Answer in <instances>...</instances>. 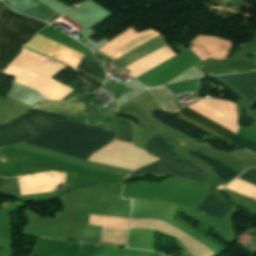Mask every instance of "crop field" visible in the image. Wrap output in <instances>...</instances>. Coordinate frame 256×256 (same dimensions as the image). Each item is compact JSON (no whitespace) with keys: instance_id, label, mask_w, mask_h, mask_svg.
<instances>
[{"instance_id":"obj_15","label":"crop field","mask_w":256,"mask_h":256,"mask_svg":"<svg viewBox=\"0 0 256 256\" xmlns=\"http://www.w3.org/2000/svg\"><path fill=\"white\" fill-rule=\"evenodd\" d=\"M60 15H58L57 13H53L49 18H47L45 20V22H48V23H51L53 22L54 20H56Z\"/></svg>"},{"instance_id":"obj_12","label":"crop field","mask_w":256,"mask_h":256,"mask_svg":"<svg viewBox=\"0 0 256 256\" xmlns=\"http://www.w3.org/2000/svg\"><path fill=\"white\" fill-rule=\"evenodd\" d=\"M114 121H115V123L117 125V129H118V135H117L115 141H120V142L131 144L130 138H131L132 130H131L130 123H128L126 121L116 120V119H114Z\"/></svg>"},{"instance_id":"obj_6","label":"crop field","mask_w":256,"mask_h":256,"mask_svg":"<svg viewBox=\"0 0 256 256\" xmlns=\"http://www.w3.org/2000/svg\"><path fill=\"white\" fill-rule=\"evenodd\" d=\"M63 118L65 117L29 109L20 117L0 124V146L25 140L34 135L37 129Z\"/></svg>"},{"instance_id":"obj_7","label":"crop field","mask_w":256,"mask_h":256,"mask_svg":"<svg viewBox=\"0 0 256 256\" xmlns=\"http://www.w3.org/2000/svg\"><path fill=\"white\" fill-rule=\"evenodd\" d=\"M218 77L232 85L249 100L256 95V91L253 90L254 84L256 83V72L222 75Z\"/></svg>"},{"instance_id":"obj_8","label":"crop field","mask_w":256,"mask_h":256,"mask_svg":"<svg viewBox=\"0 0 256 256\" xmlns=\"http://www.w3.org/2000/svg\"><path fill=\"white\" fill-rule=\"evenodd\" d=\"M15 11L44 21L53 12L40 6L36 0H4Z\"/></svg>"},{"instance_id":"obj_2","label":"crop field","mask_w":256,"mask_h":256,"mask_svg":"<svg viewBox=\"0 0 256 256\" xmlns=\"http://www.w3.org/2000/svg\"><path fill=\"white\" fill-rule=\"evenodd\" d=\"M145 32L147 31L136 32L133 27H130L124 32H122L121 34H119L118 36H116L115 38H113L112 40H110L99 50L107 54L115 50L116 48L124 45L125 43L133 40L134 38L142 35ZM157 35L159 34L151 30L107 55H109L114 59H117L120 56L124 55L125 53L129 52L130 50L134 49L135 47L139 46L140 44L144 43L145 41ZM165 44L166 43L164 42L162 36L160 35L140 45L139 47L135 48L134 50L130 51L129 53L125 54L124 56L120 57L115 61L119 62L123 66H127L135 62L136 60L146 56L147 54L155 51L156 49L164 46ZM174 55L176 54L173 51H171V49L169 48L163 51L162 53L156 55L155 57L149 59L148 61L144 62L143 64L137 66L136 68L130 70L132 72L130 73V75L136 78L141 74L147 72L148 70L152 69L153 67L159 65L160 63L164 62L165 60L171 58Z\"/></svg>"},{"instance_id":"obj_5","label":"crop field","mask_w":256,"mask_h":256,"mask_svg":"<svg viewBox=\"0 0 256 256\" xmlns=\"http://www.w3.org/2000/svg\"><path fill=\"white\" fill-rule=\"evenodd\" d=\"M24 46L48 57H51L55 60H58L74 69L82 57L81 54L70 50L56 42L45 39L39 35H36L30 43ZM76 70L80 71L85 75L90 74L102 81H105L103 69L97 66L92 59L84 55L80 60L79 64L77 65ZM87 76L99 83H103L89 75Z\"/></svg>"},{"instance_id":"obj_18","label":"crop field","mask_w":256,"mask_h":256,"mask_svg":"<svg viewBox=\"0 0 256 256\" xmlns=\"http://www.w3.org/2000/svg\"><path fill=\"white\" fill-rule=\"evenodd\" d=\"M182 107H184V106H182Z\"/></svg>"},{"instance_id":"obj_4","label":"crop field","mask_w":256,"mask_h":256,"mask_svg":"<svg viewBox=\"0 0 256 256\" xmlns=\"http://www.w3.org/2000/svg\"><path fill=\"white\" fill-rule=\"evenodd\" d=\"M41 59L42 57L23 49L22 53H20L11 65L30 72ZM11 65L2 74L14 77L13 81L16 83L35 89L47 100L61 101L62 98L74 91L65 84L52 78L45 81Z\"/></svg>"},{"instance_id":"obj_17","label":"crop field","mask_w":256,"mask_h":256,"mask_svg":"<svg viewBox=\"0 0 256 256\" xmlns=\"http://www.w3.org/2000/svg\"><path fill=\"white\" fill-rule=\"evenodd\" d=\"M3 179L2 178H0V183H1V181H2Z\"/></svg>"},{"instance_id":"obj_10","label":"crop field","mask_w":256,"mask_h":256,"mask_svg":"<svg viewBox=\"0 0 256 256\" xmlns=\"http://www.w3.org/2000/svg\"><path fill=\"white\" fill-rule=\"evenodd\" d=\"M188 152L212 169L226 184L239 175V173L205 157L197 151Z\"/></svg>"},{"instance_id":"obj_14","label":"crop field","mask_w":256,"mask_h":256,"mask_svg":"<svg viewBox=\"0 0 256 256\" xmlns=\"http://www.w3.org/2000/svg\"><path fill=\"white\" fill-rule=\"evenodd\" d=\"M238 178L256 185V168H250Z\"/></svg>"},{"instance_id":"obj_9","label":"crop field","mask_w":256,"mask_h":256,"mask_svg":"<svg viewBox=\"0 0 256 256\" xmlns=\"http://www.w3.org/2000/svg\"><path fill=\"white\" fill-rule=\"evenodd\" d=\"M231 208L209 193L195 210L220 219Z\"/></svg>"},{"instance_id":"obj_16","label":"crop field","mask_w":256,"mask_h":256,"mask_svg":"<svg viewBox=\"0 0 256 256\" xmlns=\"http://www.w3.org/2000/svg\"><path fill=\"white\" fill-rule=\"evenodd\" d=\"M199 99H197V100H195V101H193V103H195L196 101H198Z\"/></svg>"},{"instance_id":"obj_11","label":"crop field","mask_w":256,"mask_h":256,"mask_svg":"<svg viewBox=\"0 0 256 256\" xmlns=\"http://www.w3.org/2000/svg\"><path fill=\"white\" fill-rule=\"evenodd\" d=\"M180 113L183 114L184 116L210 128V129H212L213 131L217 132L218 134L222 135L223 137H225L231 141L234 137V134H232L231 132L225 130L218 124L208 120L207 118L201 116L200 114L192 111L191 109H189L187 107L182 108Z\"/></svg>"},{"instance_id":"obj_3","label":"crop field","mask_w":256,"mask_h":256,"mask_svg":"<svg viewBox=\"0 0 256 256\" xmlns=\"http://www.w3.org/2000/svg\"><path fill=\"white\" fill-rule=\"evenodd\" d=\"M0 22L26 30L31 33L38 32L46 23L24 17L8 10L0 3ZM0 23V71L15 58L21 45L33 38L34 34Z\"/></svg>"},{"instance_id":"obj_1","label":"crop field","mask_w":256,"mask_h":256,"mask_svg":"<svg viewBox=\"0 0 256 256\" xmlns=\"http://www.w3.org/2000/svg\"><path fill=\"white\" fill-rule=\"evenodd\" d=\"M115 135L63 119L40 129L34 137L24 142L86 160L94 151L108 144Z\"/></svg>"},{"instance_id":"obj_13","label":"crop field","mask_w":256,"mask_h":256,"mask_svg":"<svg viewBox=\"0 0 256 256\" xmlns=\"http://www.w3.org/2000/svg\"><path fill=\"white\" fill-rule=\"evenodd\" d=\"M232 144H235V145H238V146H241V147H244V148H247L249 150L256 152V143L248 141V140L241 138L237 135H235V137L232 141Z\"/></svg>"}]
</instances>
